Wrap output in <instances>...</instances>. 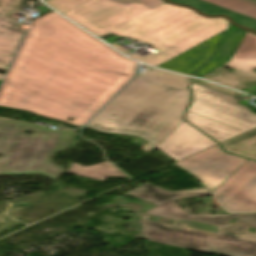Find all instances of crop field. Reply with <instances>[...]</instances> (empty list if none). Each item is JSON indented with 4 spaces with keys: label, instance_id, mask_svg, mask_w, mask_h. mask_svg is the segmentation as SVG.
Instances as JSON below:
<instances>
[{
    "label": "crop field",
    "instance_id": "crop-field-4",
    "mask_svg": "<svg viewBox=\"0 0 256 256\" xmlns=\"http://www.w3.org/2000/svg\"><path fill=\"white\" fill-rule=\"evenodd\" d=\"M176 219L173 226L141 220L143 236L150 241L179 246L195 251H215L226 256H256V213L227 215H171L155 216ZM236 218L234 223L228 220ZM179 220L202 222L217 226V233L187 227ZM179 226H175V225ZM177 227L179 230L172 229ZM231 227V228H227ZM224 229V231H221Z\"/></svg>",
    "mask_w": 256,
    "mask_h": 256
},
{
    "label": "crop field",
    "instance_id": "crop-field-17",
    "mask_svg": "<svg viewBox=\"0 0 256 256\" xmlns=\"http://www.w3.org/2000/svg\"><path fill=\"white\" fill-rule=\"evenodd\" d=\"M220 144L228 153L256 160V128Z\"/></svg>",
    "mask_w": 256,
    "mask_h": 256
},
{
    "label": "crop field",
    "instance_id": "crop-field-20",
    "mask_svg": "<svg viewBox=\"0 0 256 256\" xmlns=\"http://www.w3.org/2000/svg\"><path fill=\"white\" fill-rule=\"evenodd\" d=\"M87 1L88 0H45L47 4L62 14L82 5Z\"/></svg>",
    "mask_w": 256,
    "mask_h": 256
},
{
    "label": "crop field",
    "instance_id": "crop-field-15",
    "mask_svg": "<svg viewBox=\"0 0 256 256\" xmlns=\"http://www.w3.org/2000/svg\"><path fill=\"white\" fill-rule=\"evenodd\" d=\"M225 66L256 77L252 72L256 69V35L247 32L232 59Z\"/></svg>",
    "mask_w": 256,
    "mask_h": 256
},
{
    "label": "crop field",
    "instance_id": "crop-field-16",
    "mask_svg": "<svg viewBox=\"0 0 256 256\" xmlns=\"http://www.w3.org/2000/svg\"><path fill=\"white\" fill-rule=\"evenodd\" d=\"M183 118L197 127L203 133L216 140L218 143L243 133L187 111Z\"/></svg>",
    "mask_w": 256,
    "mask_h": 256
},
{
    "label": "crop field",
    "instance_id": "crop-field-14",
    "mask_svg": "<svg viewBox=\"0 0 256 256\" xmlns=\"http://www.w3.org/2000/svg\"><path fill=\"white\" fill-rule=\"evenodd\" d=\"M245 33V31L235 27L234 25L230 26L227 33L221 39L215 56L208 61V64L201 67L195 76L201 77L217 69L220 65L227 63L231 59Z\"/></svg>",
    "mask_w": 256,
    "mask_h": 256
},
{
    "label": "crop field",
    "instance_id": "crop-field-6",
    "mask_svg": "<svg viewBox=\"0 0 256 256\" xmlns=\"http://www.w3.org/2000/svg\"><path fill=\"white\" fill-rule=\"evenodd\" d=\"M189 112L246 132L256 127V114L237 103V98L192 83Z\"/></svg>",
    "mask_w": 256,
    "mask_h": 256
},
{
    "label": "crop field",
    "instance_id": "crop-field-1",
    "mask_svg": "<svg viewBox=\"0 0 256 256\" xmlns=\"http://www.w3.org/2000/svg\"><path fill=\"white\" fill-rule=\"evenodd\" d=\"M135 66L52 11L33 20L0 88V106L71 117L81 126L134 76Z\"/></svg>",
    "mask_w": 256,
    "mask_h": 256
},
{
    "label": "crop field",
    "instance_id": "crop-field-9",
    "mask_svg": "<svg viewBox=\"0 0 256 256\" xmlns=\"http://www.w3.org/2000/svg\"><path fill=\"white\" fill-rule=\"evenodd\" d=\"M24 0H0V69L8 65L25 33L21 23L14 17ZM3 76L0 75V81Z\"/></svg>",
    "mask_w": 256,
    "mask_h": 256
},
{
    "label": "crop field",
    "instance_id": "crop-field-19",
    "mask_svg": "<svg viewBox=\"0 0 256 256\" xmlns=\"http://www.w3.org/2000/svg\"><path fill=\"white\" fill-rule=\"evenodd\" d=\"M67 173L104 181L106 177H127L123 173H121L118 169L112 166L108 162H101L99 164L82 167L78 163H75Z\"/></svg>",
    "mask_w": 256,
    "mask_h": 256
},
{
    "label": "crop field",
    "instance_id": "crop-field-8",
    "mask_svg": "<svg viewBox=\"0 0 256 256\" xmlns=\"http://www.w3.org/2000/svg\"><path fill=\"white\" fill-rule=\"evenodd\" d=\"M214 195L229 212H256V162L247 160Z\"/></svg>",
    "mask_w": 256,
    "mask_h": 256
},
{
    "label": "crop field",
    "instance_id": "crop-field-23",
    "mask_svg": "<svg viewBox=\"0 0 256 256\" xmlns=\"http://www.w3.org/2000/svg\"><path fill=\"white\" fill-rule=\"evenodd\" d=\"M111 46H113L114 48H116L117 50L121 51V52L124 53V54H128V53L131 52V51H129V50L123 48V47H120V46L116 45V44H113V45H111Z\"/></svg>",
    "mask_w": 256,
    "mask_h": 256
},
{
    "label": "crop field",
    "instance_id": "crop-field-11",
    "mask_svg": "<svg viewBox=\"0 0 256 256\" xmlns=\"http://www.w3.org/2000/svg\"><path fill=\"white\" fill-rule=\"evenodd\" d=\"M193 6L206 15H228L240 25L256 31V0H171Z\"/></svg>",
    "mask_w": 256,
    "mask_h": 256
},
{
    "label": "crop field",
    "instance_id": "crop-field-10",
    "mask_svg": "<svg viewBox=\"0 0 256 256\" xmlns=\"http://www.w3.org/2000/svg\"><path fill=\"white\" fill-rule=\"evenodd\" d=\"M214 144L216 142L183 121L156 148L179 161Z\"/></svg>",
    "mask_w": 256,
    "mask_h": 256
},
{
    "label": "crop field",
    "instance_id": "crop-field-5",
    "mask_svg": "<svg viewBox=\"0 0 256 256\" xmlns=\"http://www.w3.org/2000/svg\"><path fill=\"white\" fill-rule=\"evenodd\" d=\"M25 129L36 134L25 135ZM74 134L0 118V174L42 173L56 180L65 170L50 159L55 152L65 150Z\"/></svg>",
    "mask_w": 256,
    "mask_h": 256
},
{
    "label": "crop field",
    "instance_id": "crop-field-22",
    "mask_svg": "<svg viewBox=\"0 0 256 256\" xmlns=\"http://www.w3.org/2000/svg\"><path fill=\"white\" fill-rule=\"evenodd\" d=\"M193 82L197 83V84H200V85H203V86H206L208 88H211V89H214V90H217V91H220V92H223V93H226V94H229V95L237 97L236 96V92H233V91L228 90L226 88L219 87V86H216V85H213V84H209V83H206V82H203V81H199V80H196V79H194Z\"/></svg>",
    "mask_w": 256,
    "mask_h": 256
},
{
    "label": "crop field",
    "instance_id": "crop-field-3",
    "mask_svg": "<svg viewBox=\"0 0 256 256\" xmlns=\"http://www.w3.org/2000/svg\"><path fill=\"white\" fill-rule=\"evenodd\" d=\"M145 68L86 127L137 135L150 142L145 147L150 153L183 121L190 78Z\"/></svg>",
    "mask_w": 256,
    "mask_h": 256
},
{
    "label": "crop field",
    "instance_id": "crop-field-12",
    "mask_svg": "<svg viewBox=\"0 0 256 256\" xmlns=\"http://www.w3.org/2000/svg\"><path fill=\"white\" fill-rule=\"evenodd\" d=\"M127 194L158 205L146 212L149 215L188 214L183 209L172 203L173 199L212 194L210 189L192 190L169 193L148 183L128 192Z\"/></svg>",
    "mask_w": 256,
    "mask_h": 256
},
{
    "label": "crop field",
    "instance_id": "crop-field-21",
    "mask_svg": "<svg viewBox=\"0 0 256 256\" xmlns=\"http://www.w3.org/2000/svg\"><path fill=\"white\" fill-rule=\"evenodd\" d=\"M111 1L119 2L123 4L139 1L140 3L144 4L149 8H154L165 2L164 0H111Z\"/></svg>",
    "mask_w": 256,
    "mask_h": 256
},
{
    "label": "crop field",
    "instance_id": "crop-field-18",
    "mask_svg": "<svg viewBox=\"0 0 256 256\" xmlns=\"http://www.w3.org/2000/svg\"><path fill=\"white\" fill-rule=\"evenodd\" d=\"M202 78L222 84L224 86L240 90L256 85V78L241 73L239 71L230 72L219 68Z\"/></svg>",
    "mask_w": 256,
    "mask_h": 256
},
{
    "label": "crop field",
    "instance_id": "crop-field-7",
    "mask_svg": "<svg viewBox=\"0 0 256 256\" xmlns=\"http://www.w3.org/2000/svg\"><path fill=\"white\" fill-rule=\"evenodd\" d=\"M245 161L224 153L217 144L174 164L195 175L214 191Z\"/></svg>",
    "mask_w": 256,
    "mask_h": 256
},
{
    "label": "crop field",
    "instance_id": "crop-field-2",
    "mask_svg": "<svg viewBox=\"0 0 256 256\" xmlns=\"http://www.w3.org/2000/svg\"><path fill=\"white\" fill-rule=\"evenodd\" d=\"M64 15L98 37L110 33L150 44L160 52L143 58L129 56L155 66L228 27L225 19L202 18L189 9L167 3L149 9L138 2L123 5L90 0Z\"/></svg>",
    "mask_w": 256,
    "mask_h": 256
},
{
    "label": "crop field",
    "instance_id": "crop-field-13",
    "mask_svg": "<svg viewBox=\"0 0 256 256\" xmlns=\"http://www.w3.org/2000/svg\"><path fill=\"white\" fill-rule=\"evenodd\" d=\"M223 32L190 50L188 49L189 51L159 65L158 67L192 75L209 56L213 55L214 49Z\"/></svg>",
    "mask_w": 256,
    "mask_h": 256
}]
</instances>
